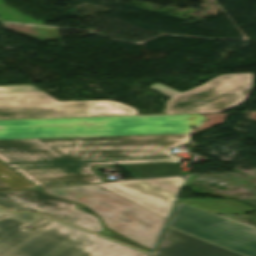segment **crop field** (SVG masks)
Here are the masks:
<instances>
[{
	"label": "crop field",
	"mask_w": 256,
	"mask_h": 256,
	"mask_svg": "<svg viewBox=\"0 0 256 256\" xmlns=\"http://www.w3.org/2000/svg\"><path fill=\"white\" fill-rule=\"evenodd\" d=\"M204 120L199 114L3 120L0 160L39 187L101 182L92 164L116 163L133 179L181 175L182 158L169 155L170 148L187 143Z\"/></svg>",
	"instance_id": "8a807250"
},
{
	"label": "crop field",
	"mask_w": 256,
	"mask_h": 256,
	"mask_svg": "<svg viewBox=\"0 0 256 256\" xmlns=\"http://www.w3.org/2000/svg\"><path fill=\"white\" fill-rule=\"evenodd\" d=\"M42 216L0 209V256H148L141 251ZM64 237L63 239H60Z\"/></svg>",
	"instance_id": "ac0d7876"
},
{
	"label": "crop field",
	"mask_w": 256,
	"mask_h": 256,
	"mask_svg": "<svg viewBox=\"0 0 256 256\" xmlns=\"http://www.w3.org/2000/svg\"><path fill=\"white\" fill-rule=\"evenodd\" d=\"M50 195L82 203L97 213L105 225L152 249L164 219L95 184L42 189Z\"/></svg>",
	"instance_id": "34b2d1b8"
},
{
	"label": "crop field",
	"mask_w": 256,
	"mask_h": 256,
	"mask_svg": "<svg viewBox=\"0 0 256 256\" xmlns=\"http://www.w3.org/2000/svg\"><path fill=\"white\" fill-rule=\"evenodd\" d=\"M136 115L109 101L58 102L31 86L0 87V120Z\"/></svg>",
	"instance_id": "412701ff"
},
{
	"label": "crop field",
	"mask_w": 256,
	"mask_h": 256,
	"mask_svg": "<svg viewBox=\"0 0 256 256\" xmlns=\"http://www.w3.org/2000/svg\"><path fill=\"white\" fill-rule=\"evenodd\" d=\"M149 87L170 97L166 101L164 114L219 113L248 97L252 88V73L220 75L183 93L159 83Z\"/></svg>",
	"instance_id": "f4fd0767"
},
{
	"label": "crop field",
	"mask_w": 256,
	"mask_h": 256,
	"mask_svg": "<svg viewBox=\"0 0 256 256\" xmlns=\"http://www.w3.org/2000/svg\"><path fill=\"white\" fill-rule=\"evenodd\" d=\"M171 227L256 256V229L179 203L168 224Z\"/></svg>",
	"instance_id": "dd49c442"
},
{
	"label": "crop field",
	"mask_w": 256,
	"mask_h": 256,
	"mask_svg": "<svg viewBox=\"0 0 256 256\" xmlns=\"http://www.w3.org/2000/svg\"><path fill=\"white\" fill-rule=\"evenodd\" d=\"M0 206L11 211L37 210L39 214L73 223L95 233L103 230L97 217L74 209L76 204L57 200L38 190L0 193Z\"/></svg>",
	"instance_id": "e52e79f7"
},
{
	"label": "crop field",
	"mask_w": 256,
	"mask_h": 256,
	"mask_svg": "<svg viewBox=\"0 0 256 256\" xmlns=\"http://www.w3.org/2000/svg\"><path fill=\"white\" fill-rule=\"evenodd\" d=\"M183 177L100 184L98 186L166 219Z\"/></svg>",
	"instance_id": "d8731c3e"
},
{
	"label": "crop field",
	"mask_w": 256,
	"mask_h": 256,
	"mask_svg": "<svg viewBox=\"0 0 256 256\" xmlns=\"http://www.w3.org/2000/svg\"><path fill=\"white\" fill-rule=\"evenodd\" d=\"M152 256H240L195 237L167 228Z\"/></svg>",
	"instance_id": "5a996713"
},
{
	"label": "crop field",
	"mask_w": 256,
	"mask_h": 256,
	"mask_svg": "<svg viewBox=\"0 0 256 256\" xmlns=\"http://www.w3.org/2000/svg\"><path fill=\"white\" fill-rule=\"evenodd\" d=\"M179 202L207 212L248 213L256 210L234 200L179 199Z\"/></svg>",
	"instance_id": "3316defc"
},
{
	"label": "crop field",
	"mask_w": 256,
	"mask_h": 256,
	"mask_svg": "<svg viewBox=\"0 0 256 256\" xmlns=\"http://www.w3.org/2000/svg\"><path fill=\"white\" fill-rule=\"evenodd\" d=\"M29 188L34 187L0 163V191Z\"/></svg>",
	"instance_id": "28ad6ade"
},
{
	"label": "crop field",
	"mask_w": 256,
	"mask_h": 256,
	"mask_svg": "<svg viewBox=\"0 0 256 256\" xmlns=\"http://www.w3.org/2000/svg\"><path fill=\"white\" fill-rule=\"evenodd\" d=\"M108 238L113 239V240H116V241H119V242H121V243L130 245V246H133V247H135V248H138V249H141V250L150 252V250H147V249H145V248H143V247H141V246H139V245H137V244H135V243H132V242H130V241H128V240H126V239H124V238H122V237H120V236L114 234V233H112L110 236H108Z\"/></svg>",
	"instance_id": "d1516ede"
}]
</instances>
